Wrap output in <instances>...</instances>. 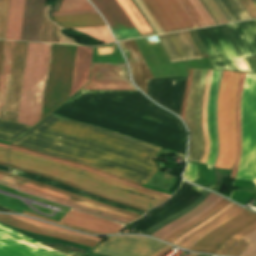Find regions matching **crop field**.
I'll list each match as a JSON object with an SVG mask.
<instances>
[{
  "label": "crop field",
  "mask_w": 256,
  "mask_h": 256,
  "mask_svg": "<svg viewBox=\"0 0 256 256\" xmlns=\"http://www.w3.org/2000/svg\"><path fill=\"white\" fill-rule=\"evenodd\" d=\"M49 121L83 132H87L99 137H103L115 142H119L128 146H132L144 151H148L153 154H155V152L158 150V147L141 143L121 135H117L85 124L73 122L54 115L48 116L43 122H41L39 125H37L28 133L20 137L15 142H13V144L78 161L89 166L144 184L158 170L154 159H151L152 157H150L152 156V154L142 152L124 145H120L105 139H101L83 132H79L61 125H57ZM47 122L49 123L46 124ZM43 125L45 126L42 127ZM39 128L41 129L38 130ZM35 131H37L35 134L42 135L67 144H71L112 158H116L128 163H132L137 166L142 164L149 157L150 158L142 165L137 167L61 142L35 135L33 134Z\"/></svg>",
  "instance_id": "obj_1"
},
{
  "label": "crop field",
  "mask_w": 256,
  "mask_h": 256,
  "mask_svg": "<svg viewBox=\"0 0 256 256\" xmlns=\"http://www.w3.org/2000/svg\"><path fill=\"white\" fill-rule=\"evenodd\" d=\"M9 164L46 175L58 177L95 192L102 193L109 197L126 201L146 209H149L162 202L155 201L140 195L155 198L161 201L166 199L164 197L143 192L74 167L11 149L9 153ZM121 189L140 195L132 194Z\"/></svg>",
  "instance_id": "obj_2"
},
{
  "label": "crop field",
  "mask_w": 256,
  "mask_h": 256,
  "mask_svg": "<svg viewBox=\"0 0 256 256\" xmlns=\"http://www.w3.org/2000/svg\"><path fill=\"white\" fill-rule=\"evenodd\" d=\"M51 44L29 43L17 122H40Z\"/></svg>",
  "instance_id": "obj_3"
},
{
  "label": "crop field",
  "mask_w": 256,
  "mask_h": 256,
  "mask_svg": "<svg viewBox=\"0 0 256 256\" xmlns=\"http://www.w3.org/2000/svg\"><path fill=\"white\" fill-rule=\"evenodd\" d=\"M240 73L223 71L218 98L219 156L214 167L232 169L236 155L235 102Z\"/></svg>",
  "instance_id": "obj_4"
},
{
  "label": "crop field",
  "mask_w": 256,
  "mask_h": 256,
  "mask_svg": "<svg viewBox=\"0 0 256 256\" xmlns=\"http://www.w3.org/2000/svg\"><path fill=\"white\" fill-rule=\"evenodd\" d=\"M242 150L236 179L256 180V74H247L242 102Z\"/></svg>",
  "instance_id": "obj_5"
},
{
  "label": "crop field",
  "mask_w": 256,
  "mask_h": 256,
  "mask_svg": "<svg viewBox=\"0 0 256 256\" xmlns=\"http://www.w3.org/2000/svg\"><path fill=\"white\" fill-rule=\"evenodd\" d=\"M75 49L53 45L43 117L69 98Z\"/></svg>",
  "instance_id": "obj_6"
},
{
  "label": "crop field",
  "mask_w": 256,
  "mask_h": 256,
  "mask_svg": "<svg viewBox=\"0 0 256 256\" xmlns=\"http://www.w3.org/2000/svg\"><path fill=\"white\" fill-rule=\"evenodd\" d=\"M207 70L193 69L191 89L186 106V125L190 132L188 160L200 162L204 149L202 133V102Z\"/></svg>",
  "instance_id": "obj_7"
},
{
  "label": "crop field",
  "mask_w": 256,
  "mask_h": 256,
  "mask_svg": "<svg viewBox=\"0 0 256 256\" xmlns=\"http://www.w3.org/2000/svg\"><path fill=\"white\" fill-rule=\"evenodd\" d=\"M169 245L139 236L107 238L93 252L107 256H157Z\"/></svg>",
  "instance_id": "obj_8"
},
{
  "label": "crop field",
  "mask_w": 256,
  "mask_h": 256,
  "mask_svg": "<svg viewBox=\"0 0 256 256\" xmlns=\"http://www.w3.org/2000/svg\"><path fill=\"white\" fill-rule=\"evenodd\" d=\"M15 183L17 185H20V186H23V187H26V188H29V189H33V190H36V191H39V192L57 197V198H61V199H64V200H67V201L85 206V207H89V208H92V209H95V210H98V211H101V212H104V213H107V214H110V215H113V216H117V217L129 220V221H133V220L137 219V218L132 217L128 214L121 213V212L109 209L107 207H104V206H101V205H98V204H95V203L80 200V199H77V198H74V197L56 192L54 190H51V189H48V188H45V187H42V186H39V185H36V184H33V183H29V182L22 181V180H19V179H15ZM20 186H17V189L19 191L29 193V194H32V195H35V196H38V197H41V198H44V199H48V200H51V201H54V202H57V203H60V204H63V205L81 210V211H84V212H87V213H91V214L111 218V219H114L116 221L122 222L124 224L129 223V221H126V220H123V219H120V218H117V217H113V216H110V215H107V214H104V213H101V212H98V211H95V210H92V209H89V208H85V207H82V206H79V205L61 200V199H57V198H54V197H51V196L33 191V190H29V189H26V188H23V187H20Z\"/></svg>",
  "instance_id": "obj_9"
},
{
  "label": "crop field",
  "mask_w": 256,
  "mask_h": 256,
  "mask_svg": "<svg viewBox=\"0 0 256 256\" xmlns=\"http://www.w3.org/2000/svg\"><path fill=\"white\" fill-rule=\"evenodd\" d=\"M0 256H66L0 224Z\"/></svg>",
  "instance_id": "obj_10"
},
{
  "label": "crop field",
  "mask_w": 256,
  "mask_h": 256,
  "mask_svg": "<svg viewBox=\"0 0 256 256\" xmlns=\"http://www.w3.org/2000/svg\"><path fill=\"white\" fill-rule=\"evenodd\" d=\"M125 76L126 64L93 63L90 84L82 90H137Z\"/></svg>",
  "instance_id": "obj_11"
},
{
  "label": "crop field",
  "mask_w": 256,
  "mask_h": 256,
  "mask_svg": "<svg viewBox=\"0 0 256 256\" xmlns=\"http://www.w3.org/2000/svg\"><path fill=\"white\" fill-rule=\"evenodd\" d=\"M254 223H256V214L245 210L206 235L190 250L215 254L225 241Z\"/></svg>",
  "instance_id": "obj_12"
},
{
  "label": "crop field",
  "mask_w": 256,
  "mask_h": 256,
  "mask_svg": "<svg viewBox=\"0 0 256 256\" xmlns=\"http://www.w3.org/2000/svg\"><path fill=\"white\" fill-rule=\"evenodd\" d=\"M165 33L193 29L177 0H143Z\"/></svg>",
  "instance_id": "obj_13"
},
{
  "label": "crop field",
  "mask_w": 256,
  "mask_h": 256,
  "mask_svg": "<svg viewBox=\"0 0 256 256\" xmlns=\"http://www.w3.org/2000/svg\"><path fill=\"white\" fill-rule=\"evenodd\" d=\"M28 43L15 42L5 120L16 122Z\"/></svg>",
  "instance_id": "obj_14"
},
{
  "label": "crop field",
  "mask_w": 256,
  "mask_h": 256,
  "mask_svg": "<svg viewBox=\"0 0 256 256\" xmlns=\"http://www.w3.org/2000/svg\"><path fill=\"white\" fill-rule=\"evenodd\" d=\"M111 29L134 28L116 0H91ZM117 40L140 37L136 29L112 30Z\"/></svg>",
  "instance_id": "obj_15"
},
{
  "label": "crop field",
  "mask_w": 256,
  "mask_h": 256,
  "mask_svg": "<svg viewBox=\"0 0 256 256\" xmlns=\"http://www.w3.org/2000/svg\"><path fill=\"white\" fill-rule=\"evenodd\" d=\"M171 63L201 59L188 32L158 36Z\"/></svg>",
  "instance_id": "obj_16"
},
{
  "label": "crop field",
  "mask_w": 256,
  "mask_h": 256,
  "mask_svg": "<svg viewBox=\"0 0 256 256\" xmlns=\"http://www.w3.org/2000/svg\"><path fill=\"white\" fill-rule=\"evenodd\" d=\"M61 222L101 234L118 233L124 225L94 215L70 209Z\"/></svg>",
  "instance_id": "obj_17"
},
{
  "label": "crop field",
  "mask_w": 256,
  "mask_h": 256,
  "mask_svg": "<svg viewBox=\"0 0 256 256\" xmlns=\"http://www.w3.org/2000/svg\"><path fill=\"white\" fill-rule=\"evenodd\" d=\"M131 67L133 80L147 94V79L153 78L134 40L119 42Z\"/></svg>",
  "instance_id": "obj_18"
},
{
  "label": "crop field",
  "mask_w": 256,
  "mask_h": 256,
  "mask_svg": "<svg viewBox=\"0 0 256 256\" xmlns=\"http://www.w3.org/2000/svg\"><path fill=\"white\" fill-rule=\"evenodd\" d=\"M45 0H26L21 40L40 42Z\"/></svg>",
  "instance_id": "obj_19"
},
{
  "label": "crop field",
  "mask_w": 256,
  "mask_h": 256,
  "mask_svg": "<svg viewBox=\"0 0 256 256\" xmlns=\"http://www.w3.org/2000/svg\"><path fill=\"white\" fill-rule=\"evenodd\" d=\"M0 222L8 224L13 227H17V228L29 231V232H33V233H37V234H41V235H45V236H49V237H54V238H58V239H62V240H66V241H70V242H74V243H78V244L89 246L92 248H94L97 244V242L92 241V240L41 229L37 226L27 224L25 222L19 221L15 218L7 216V215L0 214Z\"/></svg>",
  "instance_id": "obj_20"
},
{
  "label": "crop field",
  "mask_w": 256,
  "mask_h": 256,
  "mask_svg": "<svg viewBox=\"0 0 256 256\" xmlns=\"http://www.w3.org/2000/svg\"><path fill=\"white\" fill-rule=\"evenodd\" d=\"M92 50L77 46L71 95L88 83Z\"/></svg>",
  "instance_id": "obj_21"
},
{
  "label": "crop field",
  "mask_w": 256,
  "mask_h": 256,
  "mask_svg": "<svg viewBox=\"0 0 256 256\" xmlns=\"http://www.w3.org/2000/svg\"><path fill=\"white\" fill-rule=\"evenodd\" d=\"M236 205V204H235ZM232 206L229 208L227 211L222 213L220 216H218L216 219H214L212 222L209 224L203 226L199 230L191 233L189 236H187L184 240H182L177 246L183 247L186 249H190L198 240H200L203 236L214 230L216 227L224 223L225 221L235 217L238 215L240 212H242L244 209L237 207V206Z\"/></svg>",
  "instance_id": "obj_22"
},
{
  "label": "crop field",
  "mask_w": 256,
  "mask_h": 256,
  "mask_svg": "<svg viewBox=\"0 0 256 256\" xmlns=\"http://www.w3.org/2000/svg\"><path fill=\"white\" fill-rule=\"evenodd\" d=\"M25 0H10L5 39L20 40Z\"/></svg>",
  "instance_id": "obj_23"
},
{
  "label": "crop field",
  "mask_w": 256,
  "mask_h": 256,
  "mask_svg": "<svg viewBox=\"0 0 256 256\" xmlns=\"http://www.w3.org/2000/svg\"><path fill=\"white\" fill-rule=\"evenodd\" d=\"M14 42L5 41L0 72V118L3 119Z\"/></svg>",
  "instance_id": "obj_24"
},
{
  "label": "crop field",
  "mask_w": 256,
  "mask_h": 256,
  "mask_svg": "<svg viewBox=\"0 0 256 256\" xmlns=\"http://www.w3.org/2000/svg\"><path fill=\"white\" fill-rule=\"evenodd\" d=\"M219 70H213L212 83L209 91L208 99V127H209V138H210V155L206 164L212 165L216 155V138H215V125H214V98L217 87Z\"/></svg>",
  "instance_id": "obj_25"
},
{
  "label": "crop field",
  "mask_w": 256,
  "mask_h": 256,
  "mask_svg": "<svg viewBox=\"0 0 256 256\" xmlns=\"http://www.w3.org/2000/svg\"><path fill=\"white\" fill-rule=\"evenodd\" d=\"M53 19L66 28L106 25L99 14L60 16L53 17Z\"/></svg>",
  "instance_id": "obj_26"
},
{
  "label": "crop field",
  "mask_w": 256,
  "mask_h": 256,
  "mask_svg": "<svg viewBox=\"0 0 256 256\" xmlns=\"http://www.w3.org/2000/svg\"><path fill=\"white\" fill-rule=\"evenodd\" d=\"M117 2L138 30L141 37L154 34L131 0H117Z\"/></svg>",
  "instance_id": "obj_27"
},
{
  "label": "crop field",
  "mask_w": 256,
  "mask_h": 256,
  "mask_svg": "<svg viewBox=\"0 0 256 256\" xmlns=\"http://www.w3.org/2000/svg\"><path fill=\"white\" fill-rule=\"evenodd\" d=\"M217 198H218V196L210 193L209 196L201 204H199L196 208H194L192 211H190L189 213L185 214L184 216L176 219L175 221H173L172 223L168 224L167 226H165L161 230H159V231L155 232L154 234H152L151 236H153V237L158 239L159 237H161L166 232L172 230L173 228L179 226L180 224L188 221L192 217H194L197 214H199L202 210H204L207 206H209Z\"/></svg>",
  "instance_id": "obj_28"
},
{
  "label": "crop field",
  "mask_w": 256,
  "mask_h": 256,
  "mask_svg": "<svg viewBox=\"0 0 256 256\" xmlns=\"http://www.w3.org/2000/svg\"><path fill=\"white\" fill-rule=\"evenodd\" d=\"M31 127L0 120V140L11 143Z\"/></svg>",
  "instance_id": "obj_29"
},
{
  "label": "crop field",
  "mask_w": 256,
  "mask_h": 256,
  "mask_svg": "<svg viewBox=\"0 0 256 256\" xmlns=\"http://www.w3.org/2000/svg\"><path fill=\"white\" fill-rule=\"evenodd\" d=\"M229 203H230L229 201L223 199L221 202H219L215 207H213L207 213L203 214L201 217H199L197 220L190 223L186 227L178 230L176 233H174L173 235H171L170 237L165 239V241H168V242L172 243L174 240H176L181 235L185 234L186 232H188L189 230H191L195 226H197V225L203 223L204 221H206L207 219H209L211 216H213L215 213H217L219 210H221L223 207H225Z\"/></svg>",
  "instance_id": "obj_30"
},
{
  "label": "crop field",
  "mask_w": 256,
  "mask_h": 256,
  "mask_svg": "<svg viewBox=\"0 0 256 256\" xmlns=\"http://www.w3.org/2000/svg\"><path fill=\"white\" fill-rule=\"evenodd\" d=\"M256 229V224L252 225L251 227L245 229L244 231L236 234L232 237L218 252L217 254L227 255L229 247L232 248L229 256H237L240 252H242L246 247L247 244L243 241L239 240L244 235L250 233L251 231ZM237 242L238 244L234 246L233 244Z\"/></svg>",
  "instance_id": "obj_31"
},
{
  "label": "crop field",
  "mask_w": 256,
  "mask_h": 256,
  "mask_svg": "<svg viewBox=\"0 0 256 256\" xmlns=\"http://www.w3.org/2000/svg\"><path fill=\"white\" fill-rule=\"evenodd\" d=\"M246 74L241 73L240 75V81H239V88H238V96H237V102H236V125H237V156L236 161L234 164L233 172L230 178H234L236 168L240 159V149H241V122H240V101H241V93H242V86L244 77Z\"/></svg>",
  "instance_id": "obj_32"
},
{
  "label": "crop field",
  "mask_w": 256,
  "mask_h": 256,
  "mask_svg": "<svg viewBox=\"0 0 256 256\" xmlns=\"http://www.w3.org/2000/svg\"><path fill=\"white\" fill-rule=\"evenodd\" d=\"M211 74H212V70H208V76H207L206 87H205V96H204V102H203V113H202L203 133L205 138V150H204V155L201 162L204 164L206 163L208 154H209V140H208V133H207L206 110H207L208 90L211 82Z\"/></svg>",
  "instance_id": "obj_33"
},
{
  "label": "crop field",
  "mask_w": 256,
  "mask_h": 256,
  "mask_svg": "<svg viewBox=\"0 0 256 256\" xmlns=\"http://www.w3.org/2000/svg\"><path fill=\"white\" fill-rule=\"evenodd\" d=\"M209 193H203L201 195V197L196 200L195 202H193L191 205H189L188 207L178 211L177 213L173 214L172 216H170L169 218L165 219L164 221L158 223L157 225L153 226L152 228H150L149 230H147L146 232L142 233V234H145V235H150L152 234L153 232H155L156 230H158L159 228H161L162 226L168 224L169 222L175 220L176 218L182 216L183 214L189 212L191 209H193L195 206H197L199 203H201L205 198L206 196L208 195Z\"/></svg>",
  "instance_id": "obj_34"
},
{
  "label": "crop field",
  "mask_w": 256,
  "mask_h": 256,
  "mask_svg": "<svg viewBox=\"0 0 256 256\" xmlns=\"http://www.w3.org/2000/svg\"><path fill=\"white\" fill-rule=\"evenodd\" d=\"M60 29V26L43 21L41 42L59 43V39L61 36Z\"/></svg>",
  "instance_id": "obj_35"
},
{
  "label": "crop field",
  "mask_w": 256,
  "mask_h": 256,
  "mask_svg": "<svg viewBox=\"0 0 256 256\" xmlns=\"http://www.w3.org/2000/svg\"><path fill=\"white\" fill-rule=\"evenodd\" d=\"M182 8L185 10L191 21L194 23L196 28L206 27L207 24L204 22L202 17L199 15L197 10L194 8L190 0H178Z\"/></svg>",
  "instance_id": "obj_36"
},
{
  "label": "crop field",
  "mask_w": 256,
  "mask_h": 256,
  "mask_svg": "<svg viewBox=\"0 0 256 256\" xmlns=\"http://www.w3.org/2000/svg\"><path fill=\"white\" fill-rule=\"evenodd\" d=\"M9 216L15 217L17 219H20L22 221H25V222H28V223H31V224H34V225H37L41 228H45V229H49V230H53V231H58V232H64V233H68V234H72V235H77V236H81V237H85V238H88V239L95 240L97 242L102 240L101 238L91 237V236H87V235H84V234L72 232V231H69V230L57 228V227H54V226H51V225H48V224H45V223H42V222L31 220L29 218H25V217H21V216H14V215H9Z\"/></svg>",
  "instance_id": "obj_37"
},
{
  "label": "crop field",
  "mask_w": 256,
  "mask_h": 256,
  "mask_svg": "<svg viewBox=\"0 0 256 256\" xmlns=\"http://www.w3.org/2000/svg\"><path fill=\"white\" fill-rule=\"evenodd\" d=\"M94 9L87 0H63L59 11Z\"/></svg>",
  "instance_id": "obj_38"
},
{
  "label": "crop field",
  "mask_w": 256,
  "mask_h": 256,
  "mask_svg": "<svg viewBox=\"0 0 256 256\" xmlns=\"http://www.w3.org/2000/svg\"><path fill=\"white\" fill-rule=\"evenodd\" d=\"M10 147H11V146H10ZM11 148H12V149H16V150H20V151H23V152H27V153H30V154H34V155H37V156L45 157V156H42V155H39V154H36V153H32V152H28V151L21 150V149H18V148H14V147H11ZM45 158H48V159H51V160H55V161H58V162H61V163H64V164H68V165H71V166H74V167H77V168H80V169H83V170H86V171H89V172H93V173L99 174V175H101V176H104V177L110 178V179H112V180H115V181H118V182L127 184V185H129V186L135 187V188L140 189V190H143V191H147V192H150V193H153V194H157V195L169 197L168 195H164V194H161V193H158V192H154V191H151V190H147V189H144V188H141V187H138V186H135V185H132V184L123 182V181H121V180H118V179H115V178L106 176V175L101 174V173H99V172H96V171H94V170H90V169H86V168L80 167V166L75 165V164H71V163H68V162L60 161V160L53 159V158H49V157H45Z\"/></svg>",
  "instance_id": "obj_39"
},
{
  "label": "crop field",
  "mask_w": 256,
  "mask_h": 256,
  "mask_svg": "<svg viewBox=\"0 0 256 256\" xmlns=\"http://www.w3.org/2000/svg\"><path fill=\"white\" fill-rule=\"evenodd\" d=\"M242 240L248 243V247L239 256H256V231L244 236Z\"/></svg>",
  "instance_id": "obj_40"
},
{
  "label": "crop field",
  "mask_w": 256,
  "mask_h": 256,
  "mask_svg": "<svg viewBox=\"0 0 256 256\" xmlns=\"http://www.w3.org/2000/svg\"><path fill=\"white\" fill-rule=\"evenodd\" d=\"M9 0H0V39H4Z\"/></svg>",
  "instance_id": "obj_41"
},
{
  "label": "crop field",
  "mask_w": 256,
  "mask_h": 256,
  "mask_svg": "<svg viewBox=\"0 0 256 256\" xmlns=\"http://www.w3.org/2000/svg\"><path fill=\"white\" fill-rule=\"evenodd\" d=\"M203 3L206 5L208 10L211 12L215 20L218 22V24L226 23L227 20L222 15L216 4L213 2V0H202Z\"/></svg>",
  "instance_id": "obj_42"
},
{
  "label": "crop field",
  "mask_w": 256,
  "mask_h": 256,
  "mask_svg": "<svg viewBox=\"0 0 256 256\" xmlns=\"http://www.w3.org/2000/svg\"><path fill=\"white\" fill-rule=\"evenodd\" d=\"M9 166H10V165H9ZM10 167H11V168L18 169V170H22V171H26V172H30V173H34V174H38V175H42V174H39V173H35V172L28 171V170H24V169H21V168H17V167H13V166H10ZM42 176H45V177H47V178L53 179V180L58 181V182H61V183H63V184H66V185H69V186H72V187H75V188H78V189H81V190H84V191H87V192H90V193H93V194H96V195H99V196H102V197H104V198H107V199H110V200H113V201H116V202H119V203H122V204H125V205H128V206L136 207V206L127 204V203H125V202L118 201V200H114V199H111V198H109V197L100 195V194H98V193L91 192V191H89V190L83 189V188H81V187L75 186V185H73V184L67 183V182H65V181L59 180V179L54 178V177H50V176H46V175H42ZM136 208H138V209H140V210L146 212V210H144V209H142V208H139V207H136Z\"/></svg>",
  "instance_id": "obj_43"
},
{
  "label": "crop field",
  "mask_w": 256,
  "mask_h": 256,
  "mask_svg": "<svg viewBox=\"0 0 256 256\" xmlns=\"http://www.w3.org/2000/svg\"><path fill=\"white\" fill-rule=\"evenodd\" d=\"M13 177L20 178V179H24V180H27V181H30V182H33V183H36V184H39V185H42V186H45V187L54 189V190H57V191H59V192H62V193H65V194H68V195H71V196H74V197H77V198H80V199H84V200H88V201H91V202H95V203H98V204H101V205H104V206H107V207H110V208H113V209H116V210H119V211L128 213V214L133 215V216H135V217H137V218L140 217V216H138V215H135V214H133V213L127 212V211H125V210L118 209V208H115V207H112V206H108V205H105V204H102V203H99V202H96V201H93V200H90V199H87V198H84V197H81V196L72 194V193H69V192H66V191H62V190H59V189H56V188L47 186V185L42 184V183H38V182H35V181H32V180H28V179H25V178H22V177H18V176H15V175H13Z\"/></svg>",
  "instance_id": "obj_44"
},
{
  "label": "crop field",
  "mask_w": 256,
  "mask_h": 256,
  "mask_svg": "<svg viewBox=\"0 0 256 256\" xmlns=\"http://www.w3.org/2000/svg\"><path fill=\"white\" fill-rule=\"evenodd\" d=\"M11 146L18 147V148L25 149V150H29V151H33V150H30V149H27V148H23V147H20V146H17V145H13V144H11ZM33 152L40 153V152H37V151H33ZM40 154H43V155H46V156H50V157H53V158L62 159V160L68 161V162H72V163H75V164L81 165V166H83V167L91 168V167H89V166L83 165V164L78 163V162H74V161L66 160V159H63V158H59V157H55V156H51V155L44 154V153H40ZM91 169H94V168H91ZM94 170L99 171V170H97V169H94ZM99 172L104 173V174L109 175V176H112V177H115V178H118V179H121V180H124V181L129 182V183H132V184H136V185H139V186H141V185H142V184H140V183H135V182H133V181H130V180H127V179H124V178L118 177V176L113 175V174L105 173V172H102V171H99Z\"/></svg>",
  "instance_id": "obj_45"
},
{
  "label": "crop field",
  "mask_w": 256,
  "mask_h": 256,
  "mask_svg": "<svg viewBox=\"0 0 256 256\" xmlns=\"http://www.w3.org/2000/svg\"><path fill=\"white\" fill-rule=\"evenodd\" d=\"M191 2H192L193 5L196 7V9L198 10V12L201 14V16L203 17V19L205 20V22L208 24V26L215 25V22L212 20V18H211L210 15L207 13V11H206L205 8L202 6V4L200 3L199 0H191Z\"/></svg>",
  "instance_id": "obj_46"
},
{
  "label": "crop field",
  "mask_w": 256,
  "mask_h": 256,
  "mask_svg": "<svg viewBox=\"0 0 256 256\" xmlns=\"http://www.w3.org/2000/svg\"><path fill=\"white\" fill-rule=\"evenodd\" d=\"M222 198H218L215 202H213L208 208H206L203 212H201L199 215H197L196 217L192 218L191 220H189L188 222L182 224L181 226L173 229L172 231L166 233L163 237H161L160 239L164 240L165 238H167L169 235H171L174 231L180 229L181 227L189 224L190 222H192L193 220H195L197 217H199L200 215H202L203 213H205L206 211H208L209 209H211L213 206H215L219 201H221Z\"/></svg>",
  "instance_id": "obj_47"
},
{
  "label": "crop field",
  "mask_w": 256,
  "mask_h": 256,
  "mask_svg": "<svg viewBox=\"0 0 256 256\" xmlns=\"http://www.w3.org/2000/svg\"><path fill=\"white\" fill-rule=\"evenodd\" d=\"M184 178L186 180H194L195 178H197V168H196V165L194 164H190L188 163V167H187V170L184 174Z\"/></svg>",
  "instance_id": "obj_48"
},
{
  "label": "crop field",
  "mask_w": 256,
  "mask_h": 256,
  "mask_svg": "<svg viewBox=\"0 0 256 256\" xmlns=\"http://www.w3.org/2000/svg\"><path fill=\"white\" fill-rule=\"evenodd\" d=\"M252 19L256 18V7L251 0H240Z\"/></svg>",
  "instance_id": "obj_49"
},
{
  "label": "crop field",
  "mask_w": 256,
  "mask_h": 256,
  "mask_svg": "<svg viewBox=\"0 0 256 256\" xmlns=\"http://www.w3.org/2000/svg\"><path fill=\"white\" fill-rule=\"evenodd\" d=\"M233 204H229V205H227L225 208H223L221 211H219L216 215H214L212 218H210L209 220H207L205 223H203L202 225H200V226H198V227H196V228H194L193 230H191L189 233H187L186 235H184V236H182V237H180V238H178L175 242H173V244H177V243H179L182 239H184L187 235H189L191 232H193V231H195V230H197L198 228H200V227H202L204 224H206V223H208V222H210L211 220H213L215 217H217L219 214H221L222 212H224L225 210H227L229 207H231Z\"/></svg>",
  "instance_id": "obj_50"
},
{
  "label": "crop field",
  "mask_w": 256,
  "mask_h": 256,
  "mask_svg": "<svg viewBox=\"0 0 256 256\" xmlns=\"http://www.w3.org/2000/svg\"><path fill=\"white\" fill-rule=\"evenodd\" d=\"M23 212H24V214L31 215V216H35V217H38V218H41V219H44V220H48V221H51V222H54V223L63 225V226H65V227H68V228H71V229H74V230H79V231H83V232H87V233H91V234H97V233H94V232H92V231L85 230V229H82V228H79V227H75V226L67 225V224H64V223H61V222H57V221L49 220V219H46V218H42V217H39V216H37V215H33V214H30V213H27V212H25V211H23Z\"/></svg>",
  "instance_id": "obj_51"
},
{
  "label": "crop field",
  "mask_w": 256,
  "mask_h": 256,
  "mask_svg": "<svg viewBox=\"0 0 256 256\" xmlns=\"http://www.w3.org/2000/svg\"><path fill=\"white\" fill-rule=\"evenodd\" d=\"M191 73H192V69L189 70L188 80H187V86H186V92H185V97H184V101H183V105H182L181 118H182L184 121H185L186 99H187V95H188V91H189V86H190V82H191Z\"/></svg>",
  "instance_id": "obj_52"
},
{
  "label": "crop field",
  "mask_w": 256,
  "mask_h": 256,
  "mask_svg": "<svg viewBox=\"0 0 256 256\" xmlns=\"http://www.w3.org/2000/svg\"><path fill=\"white\" fill-rule=\"evenodd\" d=\"M0 180L6 181V182H9V183H13V180L10 176H6V175H3V174H0ZM3 181H0L1 185L7 186V187L12 188V189H15V186L13 185L14 183L9 184V183L3 182Z\"/></svg>",
  "instance_id": "obj_53"
},
{
  "label": "crop field",
  "mask_w": 256,
  "mask_h": 256,
  "mask_svg": "<svg viewBox=\"0 0 256 256\" xmlns=\"http://www.w3.org/2000/svg\"><path fill=\"white\" fill-rule=\"evenodd\" d=\"M91 13H97V11L89 10V11L63 12V13H51V14L52 16H60V15L91 14Z\"/></svg>",
  "instance_id": "obj_54"
},
{
  "label": "crop field",
  "mask_w": 256,
  "mask_h": 256,
  "mask_svg": "<svg viewBox=\"0 0 256 256\" xmlns=\"http://www.w3.org/2000/svg\"><path fill=\"white\" fill-rule=\"evenodd\" d=\"M8 149L0 147V162L7 164Z\"/></svg>",
  "instance_id": "obj_55"
},
{
  "label": "crop field",
  "mask_w": 256,
  "mask_h": 256,
  "mask_svg": "<svg viewBox=\"0 0 256 256\" xmlns=\"http://www.w3.org/2000/svg\"><path fill=\"white\" fill-rule=\"evenodd\" d=\"M3 44H4V41H0V64H1V57H2Z\"/></svg>",
  "instance_id": "obj_56"
},
{
  "label": "crop field",
  "mask_w": 256,
  "mask_h": 256,
  "mask_svg": "<svg viewBox=\"0 0 256 256\" xmlns=\"http://www.w3.org/2000/svg\"><path fill=\"white\" fill-rule=\"evenodd\" d=\"M173 247H169L168 249H166L164 252H162L160 255H158V256H162L163 254H165L166 252H168L169 250H171Z\"/></svg>",
  "instance_id": "obj_57"
},
{
  "label": "crop field",
  "mask_w": 256,
  "mask_h": 256,
  "mask_svg": "<svg viewBox=\"0 0 256 256\" xmlns=\"http://www.w3.org/2000/svg\"><path fill=\"white\" fill-rule=\"evenodd\" d=\"M0 173H3V174H6V175H10V176H11L10 173H6V172H2V171H0Z\"/></svg>",
  "instance_id": "obj_58"
},
{
  "label": "crop field",
  "mask_w": 256,
  "mask_h": 256,
  "mask_svg": "<svg viewBox=\"0 0 256 256\" xmlns=\"http://www.w3.org/2000/svg\"><path fill=\"white\" fill-rule=\"evenodd\" d=\"M0 146L8 147L7 145H4V144H0Z\"/></svg>",
  "instance_id": "obj_59"
},
{
  "label": "crop field",
  "mask_w": 256,
  "mask_h": 256,
  "mask_svg": "<svg viewBox=\"0 0 256 256\" xmlns=\"http://www.w3.org/2000/svg\"><path fill=\"white\" fill-rule=\"evenodd\" d=\"M0 165L7 166L6 164L0 163ZM8 167V166H7Z\"/></svg>",
  "instance_id": "obj_60"
}]
</instances>
